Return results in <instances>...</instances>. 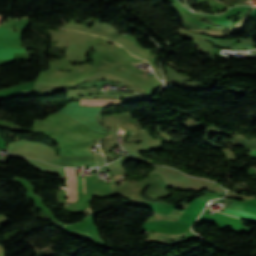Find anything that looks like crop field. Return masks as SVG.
Wrapping results in <instances>:
<instances>
[{"instance_id": "3", "label": "crop field", "mask_w": 256, "mask_h": 256, "mask_svg": "<svg viewBox=\"0 0 256 256\" xmlns=\"http://www.w3.org/2000/svg\"><path fill=\"white\" fill-rule=\"evenodd\" d=\"M223 213L233 215V216H237V217L244 218V219H249V220H252V221L256 222V215H252V214L242 212V211H239V210L228 209V210L224 211Z\"/></svg>"}, {"instance_id": "2", "label": "crop field", "mask_w": 256, "mask_h": 256, "mask_svg": "<svg viewBox=\"0 0 256 256\" xmlns=\"http://www.w3.org/2000/svg\"><path fill=\"white\" fill-rule=\"evenodd\" d=\"M66 172L69 176V183L67 187L68 202H75L77 199V191L84 192L82 177H76V173L73 171V168H67Z\"/></svg>"}, {"instance_id": "4", "label": "crop field", "mask_w": 256, "mask_h": 256, "mask_svg": "<svg viewBox=\"0 0 256 256\" xmlns=\"http://www.w3.org/2000/svg\"><path fill=\"white\" fill-rule=\"evenodd\" d=\"M250 153L255 154L256 155V150H250Z\"/></svg>"}, {"instance_id": "1", "label": "crop field", "mask_w": 256, "mask_h": 256, "mask_svg": "<svg viewBox=\"0 0 256 256\" xmlns=\"http://www.w3.org/2000/svg\"><path fill=\"white\" fill-rule=\"evenodd\" d=\"M0 46L12 48L21 47V33L12 32L0 27ZM0 47V59L13 58V53L26 52V49H11Z\"/></svg>"}, {"instance_id": "5", "label": "crop field", "mask_w": 256, "mask_h": 256, "mask_svg": "<svg viewBox=\"0 0 256 256\" xmlns=\"http://www.w3.org/2000/svg\"><path fill=\"white\" fill-rule=\"evenodd\" d=\"M112 178H115V177H112Z\"/></svg>"}]
</instances>
